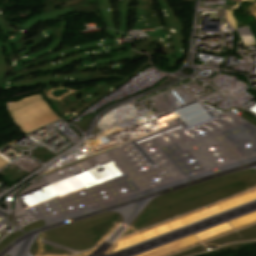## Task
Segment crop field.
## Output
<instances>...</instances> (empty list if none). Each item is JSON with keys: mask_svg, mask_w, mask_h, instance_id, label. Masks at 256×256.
<instances>
[{"mask_svg": "<svg viewBox=\"0 0 256 256\" xmlns=\"http://www.w3.org/2000/svg\"><path fill=\"white\" fill-rule=\"evenodd\" d=\"M6 106L13 122L25 134L59 119L39 95L8 103Z\"/></svg>", "mask_w": 256, "mask_h": 256, "instance_id": "1", "label": "crop field"}]
</instances>
